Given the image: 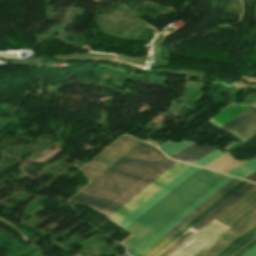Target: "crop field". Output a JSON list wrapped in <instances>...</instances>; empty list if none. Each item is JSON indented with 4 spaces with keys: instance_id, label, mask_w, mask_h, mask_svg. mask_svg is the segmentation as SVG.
Masks as SVG:
<instances>
[{
    "instance_id": "f4fd0767",
    "label": "crop field",
    "mask_w": 256,
    "mask_h": 256,
    "mask_svg": "<svg viewBox=\"0 0 256 256\" xmlns=\"http://www.w3.org/2000/svg\"><path fill=\"white\" fill-rule=\"evenodd\" d=\"M138 143L140 141L124 136L81 167V170L92 180Z\"/></svg>"
},
{
    "instance_id": "4a817a6b",
    "label": "crop field",
    "mask_w": 256,
    "mask_h": 256,
    "mask_svg": "<svg viewBox=\"0 0 256 256\" xmlns=\"http://www.w3.org/2000/svg\"><path fill=\"white\" fill-rule=\"evenodd\" d=\"M254 114H256V109L252 107L220 128L228 132Z\"/></svg>"
},
{
    "instance_id": "28ad6ade",
    "label": "crop field",
    "mask_w": 256,
    "mask_h": 256,
    "mask_svg": "<svg viewBox=\"0 0 256 256\" xmlns=\"http://www.w3.org/2000/svg\"><path fill=\"white\" fill-rule=\"evenodd\" d=\"M256 236V223L228 244L224 249H222L215 256H231L236 251H238L242 246L249 242L252 238Z\"/></svg>"
},
{
    "instance_id": "dafd665d",
    "label": "crop field",
    "mask_w": 256,
    "mask_h": 256,
    "mask_svg": "<svg viewBox=\"0 0 256 256\" xmlns=\"http://www.w3.org/2000/svg\"><path fill=\"white\" fill-rule=\"evenodd\" d=\"M244 179L256 182V172L250 174L249 176L245 177Z\"/></svg>"
},
{
    "instance_id": "733c2abd",
    "label": "crop field",
    "mask_w": 256,
    "mask_h": 256,
    "mask_svg": "<svg viewBox=\"0 0 256 256\" xmlns=\"http://www.w3.org/2000/svg\"><path fill=\"white\" fill-rule=\"evenodd\" d=\"M254 171H256V158L242 164L241 166L233 169L227 174H231V175L243 178Z\"/></svg>"
},
{
    "instance_id": "5142ce71",
    "label": "crop field",
    "mask_w": 256,
    "mask_h": 256,
    "mask_svg": "<svg viewBox=\"0 0 256 256\" xmlns=\"http://www.w3.org/2000/svg\"><path fill=\"white\" fill-rule=\"evenodd\" d=\"M213 150H215V149L211 148V147H207V146L200 147V146H197L194 144V145L186 148L185 150L179 152L178 154L172 156L171 158H175V159H179V160H183V161H186V159H188V158H192L197 161L200 158H202L205 155L212 152Z\"/></svg>"
},
{
    "instance_id": "92a150f3",
    "label": "crop field",
    "mask_w": 256,
    "mask_h": 256,
    "mask_svg": "<svg viewBox=\"0 0 256 256\" xmlns=\"http://www.w3.org/2000/svg\"><path fill=\"white\" fill-rule=\"evenodd\" d=\"M243 256H256V245L250 249L247 253H245Z\"/></svg>"
},
{
    "instance_id": "ac0d7876",
    "label": "crop field",
    "mask_w": 256,
    "mask_h": 256,
    "mask_svg": "<svg viewBox=\"0 0 256 256\" xmlns=\"http://www.w3.org/2000/svg\"><path fill=\"white\" fill-rule=\"evenodd\" d=\"M167 159L146 144L74 202L90 204L102 212Z\"/></svg>"
},
{
    "instance_id": "d9b57169",
    "label": "crop field",
    "mask_w": 256,
    "mask_h": 256,
    "mask_svg": "<svg viewBox=\"0 0 256 256\" xmlns=\"http://www.w3.org/2000/svg\"><path fill=\"white\" fill-rule=\"evenodd\" d=\"M192 144H194V143H192V142H182V143L166 142V143L162 144L161 146H159V149L162 152H164L168 157H170Z\"/></svg>"
},
{
    "instance_id": "bc2a9ffb",
    "label": "crop field",
    "mask_w": 256,
    "mask_h": 256,
    "mask_svg": "<svg viewBox=\"0 0 256 256\" xmlns=\"http://www.w3.org/2000/svg\"><path fill=\"white\" fill-rule=\"evenodd\" d=\"M224 152L220 151V150H215L212 153H210L209 155L205 156L204 158H202L201 160L197 161L196 163H194L193 165H197V166H204L207 163H209L210 161L214 160L215 158H217L218 156L222 155Z\"/></svg>"
},
{
    "instance_id": "cbeb9de0",
    "label": "crop field",
    "mask_w": 256,
    "mask_h": 256,
    "mask_svg": "<svg viewBox=\"0 0 256 256\" xmlns=\"http://www.w3.org/2000/svg\"><path fill=\"white\" fill-rule=\"evenodd\" d=\"M146 143L141 142L136 147H134L131 151H129L126 155L120 158L117 162H115L112 166L106 169L103 173H101L98 177H96L93 181H91L88 185H86L82 190H80L75 196H73L69 201L73 202L79 196H81L84 192H86L89 188H91L94 184H96L99 180H101L104 176H106L109 172L115 169L118 165H120L123 161H125L128 157H130L133 153H135L138 149H140Z\"/></svg>"
},
{
    "instance_id": "5a996713",
    "label": "crop field",
    "mask_w": 256,
    "mask_h": 256,
    "mask_svg": "<svg viewBox=\"0 0 256 256\" xmlns=\"http://www.w3.org/2000/svg\"><path fill=\"white\" fill-rule=\"evenodd\" d=\"M255 222L256 209L253 210L250 214H248L231 229H229L226 233H224L221 237H219L216 241H214L197 256H213Z\"/></svg>"
},
{
    "instance_id": "412701ff",
    "label": "crop field",
    "mask_w": 256,
    "mask_h": 256,
    "mask_svg": "<svg viewBox=\"0 0 256 256\" xmlns=\"http://www.w3.org/2000/svg\"><path fill=\"white\" fill-rule=\"evenodd\" d=\"M256 207V187L243 196L239 201L232 205L228 210L221 214L215 221L231 227L251 210ZM215 221H211L207 227L181 246L170 256H195L206 246L218 238L229 227Z\"/></svg>"
},
{
    "instance_id": "d8731c3e",
    "label": "crop field",
    "mask_w": 256,
    "mask_h": 256,
    "mask_svg": "<svg viewBox=\"0 0 256 256\" xmlns=\"http://www.w3.org/2000/svg\"><path fill=\"white\" fill-rule=\"evenodd\" d=\"M253 186L255 185L248 183L243 188L241 187L242 189H240L227 201L221 204L218 208H216L213 212H211L208 216H206L203 220H201L198 224H196L193 228H191L188 232H186L183 236H181L176 242L170 245L158 256H168L171 252H173L176 248H178L181 244H183L186 240H188L191 236H193L196 232H198L201 228H203L207 223H209L212 219H214L217 215H219L222 211H224L227 207H229L232 203H234L237 199H239L243 194H245Z\"/></svg>"
},
{
    "instance_id": "00972430",
    "label": "crop field",
    "mask_w": 256,
    "mask_h": 256,
    "mask_svg": "<svg viewBox=\"0 0 256 256\" xmlns=\"http://www.w3.org/2000/svg\"><path fill=\"white\" fill-rule=\"evenodd\" d=\"M121 256H127L126 254H123V255H121Z\"/></svg>"
},
{
    "instance_id": "214f88e0",
    "label": "crop field",
    "mask_w": 256,
    "mask_h": 256,
    "mask_svg": "<svg viewBox=\"0 0 256 256\" xmlns=\"http://www.w3.org/2000/svg\"><path fill=\"white\" fill-rule=\"evenodd\" d=\"M255 244H256V237L253 240H251L247 245H245L242 249H240L237 253H235L233 256H241Z\"/></svg>"
},
{
    "instance_id": "d1516ede",
    "label": "crop field",
    "mask_w": 256,
    "mask_h": 256,
    "mask_svg": "<svg viewBox=\"0 0 256 256\" xmlns=\"http://www.w3.org/2000/svg\"><path fill=\"white\" fill-rule=\"evenodd\" d=\"M229 133L233 134L242 143L252 138L256 135V115L234 128Z\"/></svg>"
},
{
    "instance_id": "e52e79f7",
    "label": "crop field",
    "mask_w": 256,
    "mask_h": 256,
    "mask_svg": "<svg viewBox=\"0 0 256 256\" xmlns=\"http://www.w3.org/2000/svg\"><path fill=\"white\" fill-rule=\"evenodd\" d=\"M197 170H199V168H195L192 166L187 168L185 171L183 170L184 172H182L179 176H177L174 180H172L169 184H167L164 188H162L154 196H152L145 203H143L140 207H138L135 211H133L130 215H128L125 219H123L120 223H118V225H120L123 228L128 226L131 222H133L135 219H137L140 215H142L150 207H152L154 204H156L159 200H161L169 192H171L173 189H175L178 185H180L188 177H190L192 174H194Z\"/></svg>"
},
{
    "instance_id": "8a807250",
    "label": "crop field",
    "mask_w": 256,
    "mask_h": 256,
    "mask_svg": "<svg viewBox=\"0 0 256 256\" xmlns=\"http://www.w3.org/2000/svg\"><path fill=\"white\" fill-rule=\"evenodd\" d=\"M225 175L200 169L127 230L134 235L122 244L128 253L180 213Z\"/></svg>"
},
{
    "instance_id": "dd49c442",
    "label": "crop field",
    "mask_w": 256,
    "mask_h": 256,
    "mask_svg": "<svg viewBox=\"0 0 256 256\" xmlns=\"http://www.w3.org/2000/svg\"><path fill=\"white\" fill-rule=\"evenodd\" d=\"M188 166L189 165L177 162L109 218L117 224L143 202H145L148 198H150L153 194H155L172 179H174L177 175H179Z\"/></svg>"
},
{
    "instance_id": "22f410ed",
    "label": "crop field",
    "mask_w": 256,
    "mask_h": 256,
    "mask_svg": "<svg viewBox=\"0 0 256 256\" xmlns=\"http://www.w3.org/2000/svg\"><path fill=\"white\" fill-rule=\"evenodd\" d=\"M251 106L243 105V104H233L217 116L210 119L217 126H222L223 124L227 123L234 117L238 116L245 110L249 109Z\"/></svg>"
},
{
    "instance_id": "34b2d1b8",
    "label": "crop field",
    "mask_w": 256,
    "mask_h": 256,
    "mask_svg": "<svg viewBox=\"0 0 256 256\" xmlns=\"http://www.w3.org/2000/svg\"><path fill=\"white\" fill-rule=\"evenodd\" d=\"M232 177L226 176L219 183H217L214 187H212L208 192H206L202 197H200L197 201H195L191 206H189L186 210H184L180 215H178L174 220H172L169 224H167L163 229H161L158 233H156L153 237H151L148 241H146L143 245H141L138 249H136L130 255L136 256L141 251H143L146 247H148L151 243H153L156 239H158L161 235H163L166 231H168L171 227H173L176 223H178L181 219H183L186 215H188L191 211H193L196 207H198L201 203H203L206 199H208L211 195H213L216 191H218L221 187H223L226 183H228ZM240 180L234 178L228 184H226L223 188H221L218 192H216L213 196H211L208 200H206L203 204H201L198 208H196L193 212H191L188 216H186L183 220H181L178 224H176L173 228H171L166 234L172 236L178 230H180L183 226H185L188 222H190L193 218H195L198 214H200L203 210H205L208 206H210L213 202H215L218 198H220L223 194H225L228 190H230L233 186H235ZM247 182L241 181L235 187H233L230 191H228L225 195H223L220 199H218L215 203H213L210 207H208L205 211H203L200 215H198L195 219H193L190 223H188L185 227H183L180 231H178L172 237L164 234L158 240H156L153 244H151L148 248H146L143 252H141L138 256H156L162 250H164L167 246L173 243L179 236H181L184 232L190 229L193 225H195L198 221H200L203 217L209 214L212 210H214L217 206L223 203L226 199H228L231 195H233L236 191H238L241 187H243Z\"/></svg>"
},
{
    "instance_id": "3316defc",
    "label": "crop field",
    "mask_w": 256,
    "mask_h": 256,
    "mask_svg": "<svg viewBox=\"0 0 256 256\" xmlns=\"http://www.w3.org/2000/svg\"><path fill=\"white\" fill-rule=\"evenodd\" d=\"M174 163H176V161H173L171 159L166 161L158 169L152 172L149 176H147L144 180H142L139 184H137L134 188H132L129 192H127L124 196H122L119 200H117L114 204L107 208L103 213L107 214L109 212L112 215L115 211H117L121 206H123L137 193H139L142 189L149 185L153 180H155L158 176L165 172Z\"/></svg>"
}]
</instances>
